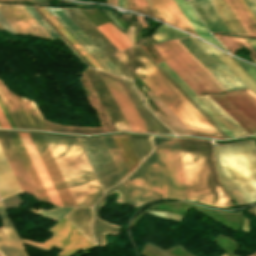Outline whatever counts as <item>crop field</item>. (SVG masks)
Returning a JSON list of instances; mask_svg holds the SVG:
<instances>
[{
  "label": "crop field",
  "instance_id": "12",
  "mask_svg": "<svg viewBox=\"0 0 256 256\" xmlns=\"http://www.w3.org/2000/svg\"><path fill=\"white\" fill-rule=\"evenodd\" d=\"M0 100L17 129L49 131L34 103L14 96L1 81Z\"/></svg>",
  "mask_w": 256,
  "mask_h": 256
},
{
  "label": "crop field",
  "instance_id": "50",
  "mask_svg": "<svg viewBox=\"0 0 256 256\" xmlns=\"http://www.w3.org/2000/svg\"><path fill=\"white\" fill-rule=\"evenodd\" d=\"M240 2L243 4V6L245 7V9L247 10V12L250 14V16L252 17V19L254 20V22L256 23V18L253 16V14L251 13V11L249 10V8L246 6V4L244 3L243 0H240Z\"/></svg>",
  "mask_w": 256,
  "mask_h": 256
},
{
  "label": "crop field",
  "instance_id": "51",
  "mask_svg": "<svg viewBox=\"0 0 256 256\" xmlns=\"http://www.w3.org/2000/svg\"><path fill=\"white\" fill-rule=\"evenodd\" d=\"M250 44L251 46L254 48V50L256 51V40L253 39H247L245 38Z\"/></svg>",
  "mask_w": 256,
  "mask_h": 256
},
{
  "label": "crop field",
  "instance_id": "37",
  "mask_svg": "<svg viewBox=\"0 0 256 256\" xmlns=\"http://www.w3.org/2000/svg\"><path fill=\"white\" fill-rule=\"evenodd\" d=\"M128 137H129L140 161L151 152V149H152L151 137H149L151 149H150L148 137H139V136H128Z\"/></svg>",
  "mask_w": 256,
  "mask_h": 256
},
{
  "label": "crop field",
  "instance_id": "2",
  "mask_svg": "<svg viewBox=\"0 0 256 256\" xmlns=\"http://www.w3.org/2000/svg\"><path fill=\"white\" fill-rule=\"evenodd\" d=\"M187 199L218 207H233L222 188L208 141L178 138Z\"/></svg>",
  "mask_w": 256,
  "mask_h": 256
},
{
  "label": "crop field",
  "instance_id": "45",
  "mask_svg": "<svg viewBox=\"0 0 256 256\" xmlns=\"http://www.w3.org/2000/svg\"><path fill=\"white\" fill-rule=\"evenodd\" d=\"M129 41L134 45V27L129 26L127 32L125 33Z\"/></svg>",
  "mask_w": 256,
  "mask_h": 256
},
{
  "label": "crop field",
  "instance_id": "56",
  "mask_svg": "<svg viewBox=\"0 0 256 256\" xmlns=\"http://www.w3.org/2000/svg\"><path fill=\"white\" fill-rule=\"evenodd\" d=\"M1 1H23V0H1ZM30 2H33L32 0H28Z\"/></svg>",
  "mask_w": 256,
  "mask_h": 256
},
{
  "label": "crop field",
  "instance_id": "1",
  "mask_svg": "<svg viewBox=\"0 0 256 256\" xmlns=\"http://www.w3.org/2000/svg\"><path fill=\"white\" fill-rule=\"evenodd\" d=\"M153 144L154 151L94 206L92 229L99 246L104 245L103 234L118 235L121 228L99 216L102 203L114 191L120 194L117 203L135 207L165 198L185 199L177 138L153 137Z\"/></svg>",
  "mask_w": 256,
  "mask_h": 256
},
{
  "label": "crop field",
  "instance_id": "58",
  "mask_svg": "<svg viewBox=\"0 0 256 256\" xmlns=\"http://www.w3.org/2000/svg\"><path fill=\"white\" fill-rule=\"evenodd\" d=\"M221 256H228V255L224 253V254H222Z\"/></svg>",
  "mask_w": 256,
  "mask_h": 256
},
{
  "label": "crop field",
  "instance_id": "57",
  "mask_svg": "<svg viewBox=\"0 0 256 256\" xmlns=\"http://www.w3.org/2000/svg\"><path fill=\"white\" fill-rule=\"evenodd\" d=\"M66 3H71V2H66ZM71 4H76V5H88V4H78V3H71Z\"/></svg>",
  "mask_w": 256,
  "mask_h": 256
},
{
  "label": "crop field",
  "instance_id": "48",
  "mask_svg": "<svg viewBox=\"0 0 256 256\" xmlns=\"http://www.w3.org/2000/svg\"><path fill=\"white\" fill-rule=\"evenodd\" d=\"M0 126H1V128H10L6 119L4 118L1 110H0Z\"/></svg>",
  "mask_w": 256,
  "mask_h": 256
},
{
  "label": "crop field",
  "instance_id": "18",
  "mask_svg": "<svg viewBox=\"0 0 256 256\" xmlns=\"http://www.w3.org/2000/svg\"><path fill=\"white\" fill-rule=\"evenodd\" d=\"M0 12L17 34L51 38L22 6L0 4Z\"/></svg>",
  "mask_w": 256,
  "mask_h": 256
},
{
  "label": "crop field",
  "instance_id": "4",
  "mask_svg": "<svg viewBox=\"0 0 256 256\" xmlns=\"http://www.w3.org/2000/svg\"><path fill=\"white\" fill-rule=\"evenodd\" d=\"M77 206L103 194L75 137L42 134Z\"/></svg>",
  "mask_w": 256,
  "mask_h": 256
},
{
  "label": "crop field",
  "instance_id": "38",
  "mask_svg": "<svg viewBox=\"0 0 256 256\" xmlns=\"http://www.w3.org/2000/svg\"><path fill=\"white\" fill-rule=\"evenodd\" d=\"M51 131L57 132H68V133H79V134H93V133H104L102 127L99 128H87V127H75V126H60L47 122Z\"/></svg>",
  "mask_w": 256,
  "mask_h": 256
},
{
  "label": "crop field",
  "instance_id": "25",
  "mask_svg": "<svg viewBox=\"0 0 256 256\" xmlns=\"http://www.w3.org/2000/svg\"><path fill=\"white\" fill-rule=\"evenodd\" d=\"M184 17L187 19L193 30L196 32L198 37L203 38L216 46L224 49L207 31L199 17L196 15L190 4L186 0H173ZM225 50V49H224Z\"/></svg>",
  "mask_w": 256,
  "mask_h": 256
},
{
  "label": "crop field",
  "instance_id": "31",
  "mask_svg": "<svg viewBox=\"0 0 256 256\" xmlns=\"http://www.w3.org/2000/svg\"><path fill=\"white\" fill-rule=\"evenodd\" d=\"M121 156L129 170L131 172L140 162L127 138L126 135H115L112 136Z\"/></svg>",
  "mask_w": 256,
  "mask_h": 256
},
{
  "label": "crop field",
  "instance_id": "35",
  "mask_svg": "<svg viewBox=\"0 0 256 256\" xmlns=\"http://www.w3.org/2000/svg\"><path fill=\"white\" fill-rule=\"evenodd\" d=\"M156 68L157 70L202 114V116L224 137L228 138L208 116L180 89V87L153 61V59L139 46H135Z\"/></svg>",
  "mask_w": 256,
  "mask_h": 256
},
{
  "label": "crop field",
  "instance_id": "47",
  "mask_svg": "<svg viewBox=\"0 0 256 256\" xmlns=\"http://www.w3.org/2000/svg\"><path fill=\"white\" fill-rule=\"evenodd\" d=\"M0 108H1V110H2V112H3V114H4V116H5V118L7 119V121H8V123H9V125H10V127H11V129H15V127H14V125H13V123H12V119L10 120V118H9V116H8V114H7V110L5 111V109H4V107H3V105H2V103L0 102ZM17 129V128H16Z\"/></svg>",
  "mask_w": 256,
  "mask_h": 256
},
{
  "label": "crop field",
  "instance_id": "20",
  "mask_svg": "<svg viewBox=\"0 0 256 256\" xmlns=\"http://www.w3.org/2000/svg\"><path fill=\"white\" fill-rule=\"evenodd\" d=\"M147 1L156 19L195 34L172 0Z\"/></svg>",
  "mask_w": 256,
  "mask_h": 256
},
{
  "label": "crop field",
  "instance_id": "32",
  "mask_svg": "<svg viewBox=\"0 0 256 256\" xmlns=\"http://www.w3.org/2000/svg\"><path fill=\"white\" fill-rule=\"evenodd\" d=\"M249 36H256V25L238 0H224Z\"/></svg>",
  "mask_w": 256,
  "mask_h": 256
},
{
  "label": "crop field",
  "instance_id": "30",
  "mask_svg": "<svg viewBox=\"0 0 256 256\" xmlns=\"http://www.w3.org/2000/svg\"><path fill=\"white\" fill-rule=\"evenodd\" d=\"M125 84L126 88L134 98L135 102L143 112L144 116L152 126L155 133H165V134H173L170 130H168L142 103L137 93L132 88V81L121 79Z\"/></svg>",
  "mask_w": 256,
  "mask_h": 256
},
{
  "label": "crop field",
  "instance_id": "24",
  "mask_svg": "<svg viewBox=\"0 0 256 256\" xmlns=\"http://www.w3.org/2000/svg\"><path fill=\"white\" fill-rule=\"evenodd\" d=\"M8 133H9V135H10V137H11V139H12V141H13V143H14V145H15V147H16V149H17V151H18V153H19V155H20V157H21V159L24 163V165H25V168H26V170H27V172H28V174H29V176H30V178H31L39 196H40V198L42 200L46 201V202H50V200H49V198H48V196H47V194H46V192H45V190L42 186V183H41V181H40V179H39V177H38V175H37V173L34 169V166H33L32 162H31V160H30V158H29V156H28V154L25 150V147H24L18 133L17 132H8Z\"/></svg>",
  "mask_w": 256,
  "mask_h": 256
},
{
  "label": "crop field",
  "instance_id": "14",
  "mask_svg": "<svg viewBox=\"0 0 256 256\" xmlns=\"http://www.w3.org/2000/svg\"><path fill=\"white\" fill-rule=\"evenodd\" d=\"M77 27L112 61V63L131 80L130 72L113 55L119 52L88 20L79 9H61Z\"/></svg>",
  "mask_w": 256,
  "mask_h": 256
},
{
  "label": "crop field",
  "instance_id": "59",
  "mask_svg": "<svg viewBox=\"0 0 256 256\" xmlns=\"http://www.w3.org/2000/svg\"><path fill=\"white\" fill-rule=\"evenodd\" d=\"M251 256H256V253H254L253 255H251Z\"/></svg>",
  "mask_w": 256,
  "mask_h": 256
},
{
  "label": "crop field",
  "instance_id": "13",
  "mask_svg": "<svg viewBox=\"0 0 256 256\" xmlns=\"http://www.w3.org/2000/svg\"><path fill=\"white\" fill-rule=\"evenodd\" d=\"M48 230L54 235L42 244L24 239H22V241L48 249L52 248L53 246L63 249L57 254V256H70L81 248L86 249L94 247L64 217L55 226Z\"/></svg>",
  "mask_w": 256,
  "mask_h": 256
},
{
  "label": "crop field",
  "instance_id": "53",
  "mask_svg": "<svg viewBox=\"0 0 256 256\" xmlns=\"http://www.w3.org/2000/svg\"><path fill=\"white\" fill-rule=\"evenodd\" d=\"M107 3L111 4V5H114V6H117L116 0H107Z\"/></svg>",
  "mask_w": 256,
  "mask_h": 256
},
{
  "label": "crop field",
  "instance_id": "11",
  "mask_svg": "<svg viewBox=\"0 0 256 256\" xmlns=\"http://www.w3.org/2000/svg\"><path fill=\"white\" fill-rule=\"evenodd\" d=\"M132 131L154 133L120 78L98 71Z\"/></svg>",
  "mask_w": 256,
  "mask_h": 256
},
{
  "label": "crop field",
  "instance_id": "39",
  "mask_svg": "<svg viewBox=\"0 0 256 256\" xmlns=\"http://www.w3.org/2000/svg\"><path fill=\"white\" fill-rule=\"evenodd\" d=\"M231 53L239 46L244 45L251 53L249 54L253 61L256 62V52H254L243 38H232L214 35Z\"/></svg>",
  "mask_w": 256,
  "mask_h": 256
},
{
  "label": "crop field",
  "instance_id": "9",
  "mask_svg": "<svg viewBox=\"0 0 256 256\" xmlns=\"http://www.w3.org/2000/svg\"><path fill=\"white\" fill-rule=\"evenodd\" d=\"M193 9L196 11L202 22L209 32L221 31L226 33L247 36L241 25L238 23L230 9L223 0H210L225 24L220 19L218 13L211 5L209 0H188ZM249 36V35H248Z\"/></svg>",
  "mask_w": 256,
  "mask_h": 256
},
{
  "label": "crop field",
  "instance_id": "52",
  "mask_svg": "<svg viewBox=\"0 0 256 256\" xmlns=\"http://www.w3.org/2000/svg\"><path fill=\"white\" fill-rule=\"evenodd\" d=\"M60 39H62V38H60ZM63 40V39H62ZM64 41V40H63ZM65 42V41H64ZM66 43V42H65ZM67 44V43H66ZM68 45V44H67ZM69 46V45H68ZM70 47V46H69ZM71 48V47H70ZM71 50L74 52V54L84 63V64H86V65H88L72 48H71Z\"/></svg>",
  "mask_w": 256,
  "mask_h": 256
},
{
  "label": "crop field",
  "instance_id": "55",
  "mask_svg": "<svg viewBox=\"0 0 256 256\" xmlns=\"http://www.w3.org/2000/svg\"><path fill=\"white\" fill-rule=\"evenodd\" d=\"M245 91L248 92L250 95H252L254 98H256V95L253 94L251 91H249V90H245Z\"/></svg>",
  "mask_w": 256,
  "mask_h": 256
},
{
  "label": "crop field",
  "instance_id": "41",
  "mask_svg": "<svg viewBox=\"0 0 256 256\" xmlns=\"http://www.w3.org/2000/svg\"><path fill=\"white\" fill-rule=\"evenodd\" d=\"M24 8L45 29V31L52 38L60 37V35L47 23V21L33 7H24Z\"/></svg>",
  "mask_w": 256,
  "mask_h": 256
},
{
  "label": "crop field",
  "instance_id": "16",
  "mask_svg": "<svg viewBox=\"0 0 256 256\" xmlns=\"http://www.w3.org/2000/svg\"><path fill=\"white\" fill-rule=\"evenodd\" d=\"M45 8L76 39V41L97 61V63L106 72L126 78L60 9H52L48 7H45Z\"/></svg>",
  "mask_w": 256,
  "mask_h": 256
},
{
  "label": "crop field",
  "instance_id": "34",
  "mask_svg": "<svg viewBox=\"0 0 256 256\" xmlns=\"http://www.w3.org/2000/svg\"><path fill=\"white\" fill-rule=\"evenodd\" d=\"M43 15L73 44V46L97 69L104 71L95 60L74 40V38L53 18V16L44 8H38Z\"/></svg>",
  "mask_w": 256,
  "mask_h": 256
},
{
  "label": "crop field",
  "instance_id": "46",
  "mask_svg": "<svg viewBox=\"0 0 256 256\" xmlns=\"http://www.w3.org/2000/svg\"><path fill=\"white\" fill-rule=\"evenodd\" d=\"M256 17V0H244Z\"/></svg>",
  "mask_w": 256,
  "mask_h": 256
},
{
  "label": "crop field",
  "instance_id": "22",
  "mask_svg": "<svg viewBox=\"0 0 256 256\" xmlns=\"http://www.w3.org/2000/svg\"><path fill=\"white\" fill-rule=\"evenodd\" d=\"M18 133H19V135H20V137H21V139H22V141H23V143H24V145L27 149V152H28V154H29L34 166H35V169H36V171H37V173H38V175H39V177H40V179H41V181L44 185V188H45L51 202L53 204L57 205V206H63L59 197H58V195H57V193H56V191H55V189H54V187H53V185H52V183H51V181H50V179H49V177H48V175H47V173H46V171H45V168H44V166H43V164H42V162H41V160H40L32 142H31V140L28 136V134L27 133H21V132H18Z\"/></svg>",
  "mask_w": 256,
  "mask_h": 256
},
{
  "label": "crop field",
  "instance_id": "7",
  "mask_svg": "<svg viewBox=\"0 0 256 256\" xmlns=\"http://www.w3.org/2000/svg\"><path fill=\"white\" fill-rule=\"evenodd\" d=\"M77 138L86 154V157L103 192H105L106 189L119 183L122 179L102 138Z\"/></svg>",
  "mask_w": 256,
  "mask_h": 256
},
{
  "label": "crop field",
  "instance_id": "15",
  "mask_svg": "<svg viewBox=\"0 0 256 256\" xmlns=\"http://www.w3.org/2000/svg\"><path fill=\"white\" fill-rule=\"evenodd\" d=\"M82 73L94 94L96 95L97 99L99 100L100 104L102 105L110 121L114 125L116 131H131L111 94L99 76L97 70L86 68Z\"/></svg>",
  "mask_w": 256,
  "mask_h": 256
},
{
  "label": "crop field",
  "instance_id": "17",
  "mask_svg": "<svg viewBox=\"0 0 256 256\" xmlns=\"http://www.w3.org/2000/svg\"><path fill=\"white\" fill-rule=\"evenodd\" d=\"M64 206H76L40 133H28Z\"/></svg>",
  "mask_w": 256,
  "mask_h": 256
},
{
  "label": "crop field",
  "instance_id": "29",
  "mask_svg": "<svg viewBox=\"0 0 256 256\" xmlns=\"http://www.w3.org/2000/svg\"><path fill=\"white\" fill-rule=\"evenodd\" d=\"M205 44V43H204ZM248 88L256 93V83L241 69L234 60L220 50L205 44ZM249 89V90H250Z\"/></svg>",
  "mask_w": 256,
  "mask_h": 256
},
{
  "label": "crop field",
  "instance_id": "8",
  "mask_svg": "<svg viewBox=\"0 0 256 256\" xmlns=\"http://www.w3.org/2000/svg\"><path fill=\"white\" fill-rule=\"evenodd\" d=\"M178 41L227 90H240L246 86L197 38L186 37Z\"/></svg>",
  "mask_w": 256,
  "mask_h": 256
},
{
  "label": "crop field",
  "instance_id": "10",
  "mask_svg": "<svg viewBox=\"0 0 256 256\" xmlns=\"http://www.w3.org/2000/svg\"><path fill=\"white\" fill-rule=\"evenodd\" d=\"M208 96L251 135L256 134V99L245 91Z\"/></svg>",
  "mask_w": 256,
  "mask_h": 256
},
{
  "label": "crop field",
  "instance_id": "28",
  "mask_svg": "<svg viewBox=\"0 0 256 256\" xmlns=\"http://www.w3.org/2000/svg\"><path fill=\"white\" fill-rule=\"evenodd\" d=\"M159 65L185 91V93L215 122V124L229 137H235L194 95H196L164 62Z\"/></svg>",
  "mask_w": 256,
  "mask_h": 256
},
{
  "label": "crop field",
  "instance_id": "21",
  "mask_svg": "<svg viewBox=\"0 0 256 256\" xmlns=\"http://www.w3.org/2000/svg\"><path fill=\"white\" fill-rule=\"evenodd\" d=\"M0 217L5 225L0 228V254L2 256H28L1 202Z\"/></svg>",
  "mask_w": 256,
  "mask_h": 256
},
{
  "label": "crop field",
  "instance_id": "6",
  "mask_svg": "<svg viewBox=\"0 0 256 256\" xmlns=\"http://www.w3.org/2000/svg\"><path fill=\"white\" fill-rule=\"evenodd\" d=\"M152 46L196 94L223 92L173 41Z\"/></svg>",
  "mask_w": 256,
  "mask_h": 256
},
{
  "label": "crop field",
  "instance_id": "42",
  "mask_svg": "<svg viewBox=\"0 0 256 256\" xmlns=\"http://www.w3.org/2000/svg\"><path fill=\"white\" fill-rule=\"evenodd\" d=\"M73 207L68 208H51L50 210L38 209L37 211L30 209V211L38 213L40 215L46 216L48 218L54 219L58 221L61 217H63L69 210Z\"/></svg>",
  "mask_w": 256,
  "mask_h": 256
},
{
  "label": "crop field",
  "instance_id": "43",
  "mask_svg": "<svg viewBox=\"0 0 256 256\" xmlns=\"http://www.w3.org/2000/svg\"><path fill=\"white\" fill-rule=\"evenodd\" d=\"M128 2L130 9L143 12L153 17L146 0H128Z\"/></svg>",
  "mask_w": 256,
  "mask_h": 256
},
{
  "label": "crop field",
  "instance_id": "26",
  "mask_svg": "<svg viewBox=\"0 0 256 256\" xmlns=\"http://www.w3.org/2000/svg\"><path fill=\"white\" fill-rule=\"evenodd\" d=\"M22 192L0 148V197Z\"/></svg>",
  "mask_w": 256,
  "mask_h": 256
},
{
  "label": "crop field",
  "instance_id": "60",
  "mask_svg": "<svg viewBox=\"0 0 256 256\" xmlns=\"http://www.w3.org/2000/svg\"><path fill=\"white\" fill-rule=\"evenodd\" d=\"M0 29H2L1 26H0Z\"/></svg>",
  "mask_w": 256,
  "mask_h": 256
},
{
  "label": "crop field",
  "instance_id": "5",
  "mask_svg": "<svg viewBox=\"0 0 256 256\" xmlns=\"http://www.w3.org/2000/svg\"><path fill=\"white\" fill-rule=\"evenodd\" d=\"M218 172L224 188L238 205L256 200V148L252 141L214 145Z\"/></svg>",
  "mask_w": 256,
  "mask_h": 256
},
{
  "label": "crop field",
  "instance_id": "54",
  "mask_svg": "<svg viewBox=\"0 0 256 256\" xmlns=\"http://www.w3.org/2000/svg\"><path fill=\"white\" fill-rule=\"evenodd\" d=\"M248 211L251 212L252 214L256 215V207H254V208H252V209H250Z\"/></svg>",
  "mask_w": 256,
  "mask_h": 256
},
{
  "label": "crop field",
  "instance_id": "33",
  "mask_svg": "<svg viewBox=\"0 0 256 256\" xmlns=\"http://www.w3.org/2000/svg\"><path fill=\"white\" fill-rule=\"evenodd\" d=\"M109 40L110 42L119 50H123L129 46L131 43L125 37L123 33H121L117 28H115L110 23H105L97 27Z\"/></svg>",
  "mask_w": 256,
  "mask_h": 256
},
{
  "label": "crop field",
  "instance_id": "44",
  "mask_svg": "<svg viewBox=\"0 0 256 256\" xmlns=\"http://www.w3.org/2000/svg\"><path fill=\"white\" fill-rule=\"evenodd\" d=\"M256 82V67L246 64V63H242L240 61H236Z\"/></svg>",
  "mask_w": 256,
  "mask_h": 256
},
{
  "label": "crop field",
  "instance_id": "36",
  "mask_svg": "<svg viewBox=\"0 0 256 256\" xmlns=\"http://www.w3.org/2000/svg\"><path fill=\"white\" fill-rule=\"evenodd\" d=\"M102 138H103V140H104V142H105V144H106V146H107V148H108V150H109V152H110V154L113 158V161H114L122 179H124L129 174V172H128V170H127V168H126V166H125V164H124V162H123V160L120 156V153H119L112 137L111 136H104Z\"/></svg>",
  "mask_w": 256,
  "mask_h": 256
},
{
  "label": "crop field",
  "instance_id": "27",
  "mask_svg": "<svg viewBox=\"0 0 256 256\" xmlns=\"http://www.w3.org/2000/svg\"><path fill=\"white\" fill-rule=\"evenodd\" d=\"M215 115L216 117L236 136L250 135L236 121H234L224 110H222L207 95L197 96Z\"/></svg>",
  "mask_w": 256,
  "mask_h": 256
},
{
  "label": "crop field",
  "instance_id": "3",
  "mask_svg": "<svg viewBox=\"0 0 256 256\" xmlns=\"http://www.w3.org/2000/svg\"><path fill=\"white\" fill-rule=\"evenodd\" d=\"M116 56L136 74L194 134L224 139L134 46L116 54Z\"/></svg>",
  "mask_w": 256,
  "mask_h": 256
},
{
  "label": "crop field",
  "instance_id": "19",
  "mask_svg": "<svg viewBox=\"0 0 256 256\" xmlns=\"http://www.w3.org/2000/svg\"><path fill=\"white\" fill-rule=\"evenodd\" d=\"M0 146L22 191H28L39 199L35 188L7 132H0Z\"/></svg>",
  "mask_w": 256,
  "mask_h": 256
},
{
  "label": "crop field",
  "instance_id": "40",
  "mask_svg": "<svg viewBox=\"0 0 256 256\" xmlns=\"http://www.w3.org/2000/svg\"><path fill=\"white\" fill-rule=\"evenodd\" d=\"M175 29V28H174ZM164 24L159 26L156 31L151 35L157 42L164 41L167 39L179 38L188 36L185 33L174 30Z\"/></svg>",
  "mask_w": 256,
  "mask_h": 256
},
{
  "label": "crop field",
  "instance_id": "49",
  "mask_svg": "<svg viewBox=\"0 0 256 256\" xmlns=\"http://www.w3.org/2000/svg\"><path fill=\"white\" fill-rule=\"evenodd\" d=\"M117 2H118V6L129 9L127 0H117Z\"/></svg>",
  "mask_w": 256,
  "mask_h": 256
},
{
  "label": "crop field",
  "instance_id": "23",
  "mask_svg": "<svg viewBox=\"0 0 256 256\" xmlns=\"http://www.w3.org/2000/svg\"><path fill=\"white\" fill-rule=\"evenodd\" d=\"M64 217L93 245L96 244L90 229V224L93 217L91 207H74Z\"/></svg>",
  "mask_w": 256,
  "mask_h": 256
}]
</instances>
